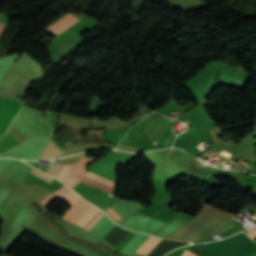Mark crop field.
Returning a JSON list of instances; mask_svg holds the SVG:
<instances>
[{"instance_id": "crop-field-1", "label": "crop field", "mask_w": 256, "mask_h": 256, "mask_svg": "<svg viewBox=\"0 0 256 256\" xmlns=\"http://www.w3.org/2000/svg\"><path fill=\"white\" fill-rule=\"evenodd\" d=\"M58 199L73 205L62 216V218L72 221L84 228L101 211L89 203L83 201L81 197H79L75 192L71 190L69 193H66L64 196Z\"/></svg>"}, {"instance_id": "crop-field-8", "label": "crop field", "mask_w": 256, "mask_h": 256, "mask_svg": "<svg viewBox=\"0 0 256 256\" xmlns=\"http://www.w3.org/2000/svg\"><path fill=\"white\" fill-rule=\"evenodd\" d=\"M152 238H153V237L150 236V237L147 239V241L136 251V253L138 254ZM155 240H156V239L153 238V239L147 244V246H146L140 253L143 254ZM159 240H160V238H158V239L151 245V247H150L143 255H145Z\"/></svg>"}, {"instance_id": "crop-field-6", "label": "crop field", "mask_w": 256, "mask_h": 256, "mask_svg": "<svg viewBox=\"0 0 256 256\" xmlns=\"http://www.w3.org/2000/svg\"><path fill=\"white\" fill-rule=\"evenodd\" d=\"M77 21L79 20L76 19L73 15L68 14L48 29L59 34L65 29H67L68 27H70L71 25H73L74 23H76Z\"/></svg>"}, {"instance_id": "crop-field-12", "label": "crop field", "mask_w": 256, "mask_h": 256, "mask_svg": "<svg viewBox=\"0 0 256 256\" xmlns=\"http://www.w3.org/2000/svg\"><path fill=\"white\" fill-rule=\"evenodd\" d=\"M182 256H188V255H186V254H184V253H183V255H182Z\"/></svg>"}, {"instance_id": "crop-field-11", "label": "crop field", "mask_w": 256, "mask_h": 256, "mask_svg": "<svg viewBox=\"0 0 256 256\" xmlns=\"http://www.w3.org/2000/svg\"><path fill=\"white\" fill-rule=\"evenodd\" d=\"M3 27H4V26L0 25V32H1V30L3 29Z\"/></svg>"}, {"instance_id": "crop-field-3", "label": "crop field", "mask_w": 256, "mask_h": 256, "mask_svg": "<svg viewBox=\"0 0 256 256\" xmlns=\"http://www.w3.org/2000/svg\"><path fill=\"white\" fill-rule=\"evenodd\" d=\"M72 190L81 195L83 199L89 201L90 203L101 209L111 196V194L109 193H106L104 191H98L81 182H79Z\"/></svg>"}, {"instance_id": "crop-field-4", "label": "crop field", "mask_w": 256, "mask_h": 256, "mask_svg": "<svg viewBox=\"0 0 256 256\" xmlns=\"http://www.w3.org/2000/svg\"><path fill=\"white\" fill-rule=\"evenodd\" d=\"M104 213H100L87 227L88 230ZM115 226V224L108 218L107 215H103L90 229L89 231L105 237L109 231Z\"/></svg>"}, {"instance_id": "crop-field-9", "label": "crop field", "mask_w": 256, "mask_h": 256, "mask_svg": "<svg viewBox=\"0 0 256 256\" xmlns=\"http://www.w3.org/2000/svg\"><path fill=\"white\" fill-rule=\"evenodd\" d=\"M105 213L114 221L121 218L112 208Z\"/></svg>"}, {"instance_id": "crop-field-10", "label": "crop field", "mask_w": 256, "mask_h": 256, "mask_svg": "<svg viewBox=\"0 0 256 256\" xmlns=\"http://www.w3.org/2000/svg\"><path fill=\"white\" fill-rule=\"evenodd\" d=\"M247 235H249L254 240L256 239V226L246 230Z\"/></svg>"}, {"instance_id": "crop-field-2", "label": "crop field", "mask_w": 256, "mask_h": 256, "mask_svg": "<svg viewBox=\"0 0 256 256\" xmlns=\"http://www.w3.org/2000/svg\"><path fill=\"white\" fill-rule=\"evenodd\" d=\"M93 161V159H87V158H83L81 157L80 161L75 164L72 165H66V164H62V166L60 167L59 171L57 172V174L55 175L56 178H58L60 181L64 182L68 179L69 175L71 174L72 170V174L70 175L69 179L67 180V182L65 183L66 185H68L69 187H73L74 185H76L81 178L84 176L85 172H86V166Z\"/></svg>"}, {"instance_id": "crop-field-5", "label": "crop field", "mask_w": 256, "mask_h": 256, "mask_svg": "<svg viewBox=\"0 0 256 256\" xmlns=\"http://www.w3.org/2000/svg\"><path fill=\"white\" fill-rule=\"evenodd\" d=\"M81 182L109 192L111 194L114 193V187L116 184L115 182L102 178L90 171H87L85 177L81 180Z\"/></svg>"}, {"instance_id": "crop-field-7", "label": "crop field", "mask_w": 256, "mask_h": 256, "mask_svg": "<svg viewBox=\"0 0 256 256\" xmlns=\"http://www.w3.org/2000/svg\"><path fill=\"white\" fill-rule=\"evenodd\" d=\"M67 190H69V188L67 187H62L59 190H57L56 192L52 193L51 195H49L48 197H46L42 203L48 205L52 200H54L56 197L60 196L61 194H63L64 192H66Z\"/></svg>"}]
</instances>
